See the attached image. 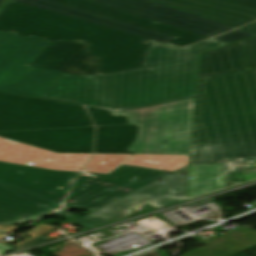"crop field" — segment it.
<instances>
[{
    "mask_svg": "<svg viewBox=\"0 0 256 256\" xmlns=\"http://www.w3.org/2000/svg\"><path fill=\"white\" fill-rule=\"evenodd\" d=\"M189 156L133 155L125 164L175 171L188 165Z\"/></svg>",
    "mask_w": 256,
    "mask_h": 256,
    "instance_id": "obj_20",
    "label": "crop field"
},
{
    "mask_svg": "<svg viewBox=\"0 0 256 256\" xmlns=\"http://www.w3.org/2000/svg\"><path fill=\"white\" fill-rule=\"evenodd\" d=\"M47 241H48L47 238L41 236V237H39V238H37V239L27 243V244L15 249V250H19V249H22V248H26V247L33 246V245H36V244H40V243L47 242ZM15 250H13V251H15Z\"/></svg>",
    "mask_w": 256,
    "mask_h": 256,
    "instance_id": "obj_29",
    "label": "crop field"
},
{
    "mask_svg": "<svg viewBox=\"0 0 256 256\" xmlns=\"http://www.w3.org/2000/svg\"><path fill=\"white\" fill-rule=\"evenodd\" d=\"M198 44H202V45H206V46H209V47L216 48V47L225 45L227 43H223V42H220V41H217V40L210 39V40L198 43Z\"/></svg>",
    "mask_w": 256,
    "mask_h": 256,
    "instance_id": "obj_30",
    "label": "crop field"
},
{
    "mask_svg": "<svg viewBox=\"0 0 256 256\" xmlns=\"http://www.w3.org/2000/svg\"><path fill=\"white\" fill-rule=\"evenodd\" d=\"M242 42L248 60L249 68H256V37L243 40Z\"/></svg>",
    "mask_w": 256,
    "mask_h": 256,
    "instance_id": "obj_26",
    "label": "crop field"
},
{
    "mask_svg": "<svg viewBox=\"0 0 256 256\" xmlns=\"http://www.w3.org/2000/svg\"><path fill=\"white\" fill-rule=\"evenodd\" d=\"M86 46L79 41L50 44L30 66L73 75H98L97 58L88 54Z\"/></svg>",
    "mask_w": 256,
    "mask_h": 256,
    "instance_id": "obj_13",
    "label": "crop field"
},
{
    "mask_svg": "<svg viewBox=\"0 0 256 256\" xmlns=\"http://www.w3.org/2000/svg\"><path fill=\"white\" fill-rule=\"evenodd\" d=\"M242 42L202 54L199 78L247 70Z\"/></svg>",
    "mask_w": 256,
    "mask_h": 256,
    "instance_id": "obj_17",
    "label": "crop field"
},
{
    "mask_svg": "<svg viewBox=\"0 0 256 256\" xmlns=\"http://www.w3.org/2000/svg\"><path fill=\"white\" fill-rule=\"evenodd\" d=\"M89 184L94 185V186H98V187H101V188L113 190V191H116V192L124 193V194H128V193L135 190V189L127 188V187H124V186H120V185L113 184V183L106 182V181L99 180V179H93L89 182Z\"/></svg>",
    "mask_w": 256,
    "mask_h": 256,
    "instance_id": "obj_28",
    "label": "crop field"
},
{
    "mask_svg": "<svg viewBox=\"0 0 256 256\" xmlns=\"http://www.w3.org/2000/svg\"><path fill=\"white\" fill-rule=\"evenodd\" d=\"M256 113V69L199 79L196 116Z\"/></svg>",
    "mask_w": 256,
    "mask_h": 256,
    "instance_id": "obj_8",
    "label": "crop field"
},
{
    "mask_svg": "<svg viewBox=\"0 0 256 256\" xmlns=\"http://www.w3.org/2000/svg\"><path fill=\"white\" fill-rule=\"evenodd\" d=\"M94 127L79 129L7 132L0 137L58 153H92Z\"/></svg>",
    "mask_w": 256,
    "mask_h": 256,
    "instance_id": "obj_12",
    "label": "crop field"
},
{
    "mask_svg": "<svg viewBox=\"0 0 256 256\" xmlns=\"http://www.w3.org/2000/svg\"><path fill=\"white\" fill-rule=\"evenodd\" d=\"M3 237H4V235H1V234H0V240H1Z\"/></svg>",
    "mask_w": 256,
    "mask_h": 256,
    "instance_id": "obj_38",
    "label": "crop field"
},
{
    "mask_svg": "<svg viewBox=\"0 0 256 256\" xmlns=\"http://www.w3.org/2000/svg\"><path fill=\"white\" fill-rule=\"evenodd\" d=\"M152 22H153V20H149V19H146V18L139 17L134 22H132V24H136V25H139V26H142V27H146V28H149V29H152V30H156V31H159V32H162V33H166V34L176 36V37H179V38H183V39L193 41V42L205 40V39L208 38V37L201 36V35H198V34H195V33H192V32H188V31H185V30H182V29L171 27V26H168V25H165V24H161V23L153 24Z\"/></svg>",
    "mask_w": 256,
    "mask_h": 256,
    "instance_id": "obj_23",
    "label": "crop field"
},
{
    "mask_svg": "<svg viewBox=\"0 0 256 256\" xmlns=\"http://www.w3.org/2000/svg\"><path fill=\"white\" fill-rule=\"evenodd\" d=\"M132 14L156 20L208 37L216 36L236 27L165 6L150 0H90Z\"/></svg>",
    "mask_w": 256,
    "mask_h": 256,
    "instance_id": "obj_11",
    "label": "crop field"
},
{
    "mask_svg": "<svg viewBox=\"0 0 256 256\" xmlns=\"http://www.w3.org/2000/svg\"><path fill=\"white\" fill-rule=\"evenodd\" d=\"M198 67V53L153 42L143 69L63 74L40 98L111 113L193 98Z\"/></svg>",
    "mask_w": 256,
    "mask_h": 256,
    "instance_id": "obj_1",
    "label": "crop field"
},
{
    "mask_svg": "<svg viewBox=\"0 0 256 256\" xmlns=\"http://www.w3.org/2000/svg\"><path fill=\"white\" fill-rule=\"evenodd\" d=\"M178 9L240 27L256 20V8L221 0H154Z\"/></svg>",
    "mask_w": 256,
    "mask_h": 256,
    "instance_id": "obj_15",
    "label": "crop field"
},
{
    "mask_svg": "<svg viewBox=\"0 0 256 256\" xmlns=\"http://www.w3.org/2000/svg\"><path fill=\"white\" fill-rule=\"evenodd\" d=\"M191 43H193V42H189V41L177 38L173 42H171L170 44L176 45V46H185V45H188V44H191Z\"/></svg>",
    "mask_w": 256,
    "mask_h": 256,
    "instance_id": "obj_33",
    "label": "crop field"
},
{
    "mask_svg": "<svg viewBox=\"0 0 256 256\" xmlns=\"http://www.w3.org/2000/svg\"><path fill=\"white\" fill-rule=\"evenodd\" d=\"M129 156L131 155H95L83 171L109 173L126 161Z\"/></svg>",
    "mask_w": 256,
    "mask_h": 256,
    "instance_id": "obj_24",
    "label": "crop field"
},
{
    "mask_svg": "<svg viewBox=\"0 0 256 256\" xmlns=\"http://www.w3.org/2000/svg\"><path fill=\"white\" fill-rule=\"evenodd\" d=\"M138 127H98L95 153H129L127 148L134 141Z\"/></svg>",
    "mask_w": 256,
    "mask_h": 256,
    "instance_id": "obj_19",
    "label": "crop field"
},
{
    "mask_svg": "<svg viewBox=\"0 0 256 256\" xmlns=\"http://www.w3.org/2000/svg\"><path fill=\"white\" fill-rule=\"evenodd\" d=\"M225 1H230L238 4L256 7V0H225Z\"/></svg>",
    "mask_w": 256,
    "mask_h": 256,
    "instance_id": "obj_32",
    "label": "crop field"
},
{
    "mask_svg": "<svg viewBox=\"0 0 256 256\" xmlns=\"http://www.w3.org/2000/svg\"><path fill=\"white\" fill-rule=\"evenodd\" d=\"M240 29L256 33V22L255 23H251L249 25H246V26H244V27H242Z\"/></svg>",
    "mask_w": 256,
    "mask_h": 256,
    "instance_id": "obj_35",
    "label": "crop field"
},
{
    "mask_svg": "<svg viewBox=\"0 0 256 256\" xmlns=\"http://www.w3.org/2000/svg\"><path fill=\"white\" fill-rule=\"evenodd\" d=\"M186 171L187 166L71 223L89 230L128 219V210L144 203L161 208L182 202L185 191V177L182 175H186ZM159 181L163 184H158ZM174 189L179 190L172 192Z\"/></svg>",
    "mask_w": 256,
    "mask_h": 256,
    "instance_id": "obj_9",
    "label": "crop field"
},
{
    "mask_svg": "<svg viewBox=\"0 0 256 256\" xmlns=\"http://www.w3.org/2000/svg\"><path fill=\"white\" fill-rule=\"evenodd\" d=\"M221 163H224L225 188L235 182L243 183L256 179V160L221 161ZM250 165H255V167L250 168ZM247 172H251V174L246 175Z\"/></svg>",
    "mask_w": 256,
    "mask_h": 256,
    "instance_id": "obj_21",
    "label": "crop field"
},
{
    "mask_svg": "<svg viewBox=\"0 0 256 256\" xmlns=\"http://www.w3.org/2000/svg\"><path fill=\"white\" fill-rule=\"evenodd\" d=\"M253 35H256V34L237 29L235 31H232L230 33L221 35V36L213 38V39H217V40H220V41H223V42L231 43V42H235V41H239V40L248 38V37L253 36Z\"/></svg>",
    "mask_w": 256,
    "mask_h": 256,
    "instance_id": "obj_27",
    "label": "crop field"
},
{
    "mask_svg": "<svg viewBox=\"0 0 256 256\" xmlns=\"http://www.w3.org/2000/svg\"><path fill=\"white\" fill-rule=\"evenodd\" d=\"M189 177L186 199L223 189V164L190 165Z\"/></svg>",
    "mask_w": 256,
    "mask_h": 256,
    "instance_id": "obj_18",
    "label": "crop field"
},
{
    "mask_svg": "<svg viewBox=\"0 0 256 256\" xmlns=\"http://www.w3.org/2000/svg\"><path fill=\"white\" fill-rule=\"evenodd\" d=\"M185 49L201 53V52L213 49V48H209V47H205V46H202V45L195 44V45H191L189 47H186Z\"/></svg>",
    "mask_w": 256,
    "mask_h": 256,
    "instance_id": "obj_31",
    "label": "crop field"
},
{
    "mask_svg": "<svg viewBox=\"0 0 256 256\" xmlns=\"http://www.w3.org/2000/svg\"><path fill=\"white\" fill-rule=\"evenodd\" d=\"M0 30L20 36L35 35L56 40H81L97 61L102 73L142 68L152 41L87 21L12 2L0 14Z\"/></svg>",
    "mask_w": 256,
    "mask_h": 256,
    "instance_id": "obj_2",
    "label": "crop field"
},
{
    "mask_svg": "<svg viewBox=\"0 0 256 256\" xmlns=\"http://www.w3.org/2000/svg\"><path fill=\"white\" fill-rule=\"evenodd\" d=\"M11 249H13V248H9V247H6V246L0 244V254H3Z\"/></svg>",
    "mask_w": 256,
    "mask_h": 256,
    "instance_id": "obj_36",
    "label": "crop field"
},
{
    "mask_svg": "<svg viewBox=\"0 0 256 256\" xmlns=\"http://www.w3.org/2000/svg\"><path fill=\"white\" fill-rule=\"evenodd\" d=\"M91 155L54 154L49 151L0 138V161L49 168L80 171Z\"/></svg>",
    "mask_w": 256,
    "mask_h": 256,
    "instance_id": "obj_14",
    "label": "crop field"
},
{
    "mask_svg": "<svg viewBox=\"0 0 256 256\" xmlns=\"http://www.w3.org/2000/svg\"><path fill=\"white\" fill-rule=\"evenodd\" d=\"M256 159V114L196 117L191 164Z\"/></svg>",
    "mask_w": 256,
    "mask_h": 256,
    "instance_id": "obj_5",
    "label": "crop field"
},
{
    "mask_svg": "<svg viewBox=\"0 0 256 256\" xmlns=\"http://www.w3.org/2000/svg\"><path fill=\"white\" fill-rule=\"evenodd\" d=\"M77 174L0 162V225L26 223L58 209Z\"/></svg>",
    "mask_w": 256,
    "mask_h": 256,
    "instance_id": "obj_3",
    "label": "crop field"
},
{
    "mask_svg": "<svg viewBox=\"0 0 256 256\" xmlns=\"http://www.w3.org/2000/svg\"><path fill=\"white\" fill-rule=\"evenodd\" d=\"M59 3L70 5L76 8L94 12L100 15L118 19L124 22L131 23L139 16L132 15L123 11H119L113 8H109L100 4H96L87 0H53Z\"/></svg>",
    "mask_w": 256,
    "mask_h": 256,
    "instance_id": "obj_22",
    "label": "crop field"
},
{
    "mask_svg": "<svg viewBox=\"0 0 256 256\" xmlns=\"http://www.w3.org/2000/svg\"><path fill=\"white\" fill-rule=\"evenodd\" d=\"M48 45L45 39L0 32V91L39 98L62 74L25 65Z\"/></svg>",
    "mask_w": 256,
    "mask_h": 256,
    "instance_id": "obj_6",
    "label": "crop field"
},
{
    "mask_svg": "<svg viewBox=\"0 0 256 256\" xmlns=\"http://www.w3.org/2000/svg\"><path fill=\"white\" fill-rule=\"evenodd\" d=\"M15 229H17V226H0V231H3L7 234H10Z\"/></svg>",
    "mask_w": 256,
    "mask_h": 256,
    "instance_id": "obj_34",
    "label": "crop field"
},
{
    "mask_svg": "<svg viewBox=\"0 0 256 256\" xmlns=\"http://www.w3.org/2000/svg\"><path fill=\"white\" fill-rule=\"evenodd\" d=\"M170 173L154 169L123 165L109 174L82 172L64 205H71L92 211L124 194L87 185L92 178H99L131 188H139L163 175ZM136 178L135 181H131Z\"/></svg>",
    "mask_w": 256,
    "mask_h": 256,
    "instance_id": "obj_10",
    "label": "crop field"
},
{
    "mask_svg": "<svg viewBox=\"0 0 256 256\" xmlns=\"http://www.w3.org/2000/svg\"><path fill=\"white\" fill-rule=\"evenodd\" d=\"M96 126L127 124L126 117H114L110 112L87 107Z\"/></svg>",
    "mask_w": 256,
    "mask_h": 256,
    "instance_id": "obj_25",
    "label": "crop field"
},
{
    "mask_svg": "<svg viewBox=\"0 0 256 256\" xmlns=\"http://www.w3.org/2000/svg\"><path fill=\"white\" fill-rule=\"evenodd\" d=\"M194 102L195 98L113 115H127L130 124L140 126L138 137L129 151L135 154L189 155Z\"/></svg>",
    "mask_w": 256,
    "mask_h": 256,
    "instance_id": "obj_4",
    "label": "crop field"
},
{
    "mask_svg": "<svg viewBox=\"0 0 256 256\" xmlns=\"http://www.w3.org/2000/svg\"><path fill=\"white\" fill-rule=\"evenodd\" d=\"M7 0H0V7L6 2Z\"/></svg>",
    "mask_w": 256,
    "mask_h": 256,
    "instance_id": "obj_37",
    "label": "crop field"
},
{
    "mask_svg": "<svg viewBox=\"0 0 256 256\" xmlns=\"http://www.w3.org/2000/svg\"><path fill=\"white\" fill-rule=\"evenodd\" d=\"M93 126L84 107L0 92V131Z\"/></svg>",
    "mask_w": 256,
    "mask_h": 256,
    "instance_id": "obj_7",
    "label": "crop field"
},
{
    "mask_svg": "<svg viewBox=\"0 0 256 256\" xmlns=\"http://www.w3.org/2000/svg\"><path fill=\"white\" fill-rule=\"evenodd\" d=\"M14 2H18V3L33 6L36 8H40V9L68 15L71 17L87 20V21H90L95 24L110 27V28H113L116 30H120V31H123L126 33H130V34H133L136 36H140V37L154 40V41L161 42V43L168 44L176 38V37H172V36H169L166 34L148 30V29H145L142 27L124 23L121 21H117V20H114L111 18L93 14V13H90L87 11L69 7V6L59 4V3L49 1V0H14Z\"/></svg>",
    "mask_w": 256,
    "mask_h": 256,
    "instance_id": "obj_16",
    "label": "crop field"
}]
</instances>
